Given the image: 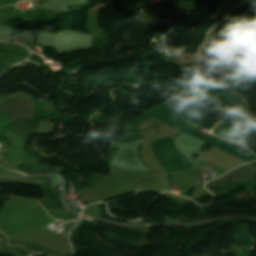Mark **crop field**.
I'll return each mask as SVG.
<instances>
[{"label":"crop field","instance_id":"obj_1","mask_svg":"<svg viewBox=\"0 0 256 256\" xmlns=\"http://www.w3.org/2000/svg\"><path fill=\"white\" fill-rule=\"evenodd\" d=\"M112 143L113 142H111V145ZM139 143L140 140L129 143L114 142L113 146H118L120 151L114 153V156L110 164L119 167L147 170V168L144 165H142L138 157L137 147Z\"/></svg>","mask_w":256,"mask_h":256},{"label":"crop field","instance_id":"obj_2","mask_svg":"<svg viewBox=\"0 0 256 256\" xmlns=\"http://www.w3.org/2000/svg\"><path fill=\"white\" fill-rule=\"evenodd\" d=\"M7 113L10 122L13 123L21 118H34L33 99H13L0 105V116Z\"/></svg>","mask_w":256,"mask_h":256},{"label":"crop field","instance_id":"obj_3","mask_svg":"<svg viewBox=\"0 0 256 256\" xmlns=\"http://www.w3.org/2000/svg\"><path fill=\"white\" fill-rule=\"evenodd\" d=\"M208 130L212 129L213 126L220 121L217 118H214L212 120H209L201 115L198 114V111L193 110L187 106H185L184 104H182L179 101L170 103L168 105L162 106Z\"/></svg>","mask_w":256,"mask_h":256},{"label":"crop field","instance_id":"obj_4","mask_svg":"<svg viewBox=\"0 0 256 256\" xmlns=\"http://www.w3.org/2000/svg\"><path fill=\"white\" fill-rule=\"evenodd\" d=\"M140 137H145L154 133H161L177 138L181 133L178 130L168 127L165 123L151 117L137 124Z\"/></svg>","mask_w":256,"mask_h":256},{"label":"crop field","instance_id":"obj_5","mask_svg":"<svg viewBox=\"0 0 256 256\" xmlns=\"http://www.w3.org/2000/svg\"><path fill=\"white\" fill-rule=\"evenodd\" d=\"M255 172H256V167L250 164H247L232 170L231 172L227 173L226 175L212 182H209L207 187L219 185V184L233 181V180H250Z\"/></svg>","mask_w":256,"mask_h":256},{"label":"crop field","instance_id":"obj_6","mask_svg":"<svg viewBox=\"0 0 256 256\" xmlns=\"http://www.w3.org/2000/svg\"><path fill=\"white\" fill-rule=\"evenodd\" d=\"M37 123L38 121L35 120L22 119L8 127V130L24 138L27 134L31 132H36Z\"/></svg>","mask_w":256,"mask_h":256},{"label":"crop field","instance_id":"obj_7","mask_svg":"<svg viewBox=\"0 0 256 256\" xmlns=\"http://www.w3.org/2000/svg\"><path fill=\"white\" fill-rule=\"evenodd\" d=\"M1 156V155H0Z\"/></svg>","mask_w":256,"mask_h":256}]
</instances>
